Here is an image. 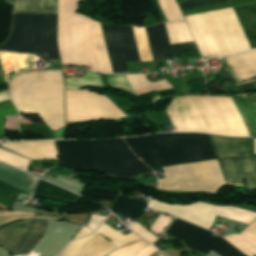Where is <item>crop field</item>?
<instances>
[{"mask_svg": "<svg viewBox=\"0 0 256 256\" xmlns=\"http://www.w3.org/2000/svg\"><path fill=\"white\" fill-rule=\"evenodd\" d=\"M177 1V3H179V2H181V1H183V0H176Z\"/></svg>", "mask_w": 256, "mask_h": 256, "instance_id": "crop-field-42", "label": "crop field"}, {"mask_svg": "<svg viewBox=\"0 0 256 256\" xmlns=\"http://www.w3.org/2000/svg\"><path fill=\"white\" fill-rule=\"evenodd\" d=\"M174 57H178L188 49H197L194 42L170 45Z\"/></svg>", "mask_w": 256, "mask_h": 256, "instance_id": "crop-field-34", "label": "crop field"}, {"mask_svg": "<svg viewBox=\"0 0 256 256\" xmlns=\"http://www.w3.org/2000/svg\"><path fill=\"white\" fill-rule=\"evenodd\" d=\"M97 232L102 234L103 236L109 238L110 240L120 244V245L139 240V238H137L132 233L124 236L118 230L115 231V230H113L112 228H110L109 226H107L106 224L103 223L102 226L94 234H92L88 237L82 238L80 240L71 242L66 247V249L61 253L60 256H78V254H79L80 250L83 248V246L90 239H92L94 236H96Z\"/></svg>", "mask_w": 256, "mask_h": 256, "instance_id": "crop-field-16", "label": "crop field"}, {"mask_svg": "<svg viewBox=\"0 0 256 256\" xmlns=\"http://www.w3.org/2000/svg\"><path fill=\"white\" fill-rule=\"evenodd\" d=\"M92 142L98 170L119 177H130L148 169L131 153L122 139Z\"/></svg>", "mask_w": 256, "mask_h": 256, "instance_id": "crop-field-12", "label": "crop field"}, {"mask_svg": "<svg viewBox=\"0 0 256 256\" xmlns=\"http://www.w3.org/2000/svg\"><path fill=\"white\" fill-rule=\"evenodd\" d=\"M232 99L240 115L242 116L251 136H256V125L254 123L256 122V110L250 98L242 99L241 96H238V97H232Z\"/></svg>", "mask_w": 256, "mask_h": 256, "instance_id": "crop-field-23", "label": "crop field"}, {"mask_svg": "<svg viewBox=\"0 0 256 256\" xmlns=\"http://www.w3.org/2000/svg\"><path fill=\"white\" fill-rule=\"evenodd\" d=\"M147 206L148 204L144 199L118 194L109 210L135 221Z\"/></svg>", "mask_w": 256, "mask_h": 256, "instance_id": "crop-field-19", "label": "crop field"}, {"mask_svg": "<svg viewBox=\"0 0 256 256\" xmlns=\"http://www.w3.org/2000/svg\"><path fill=\"white\" fill-rule=\"evenodd\" d=\"M167 21H184L174 0H158Z\"/></svg>", "mask_w": 256, "mask_h": 256, "instance_id": "crop-field-29", "label": "crop field"}, {"mask_svg": "<svg viewBox=\"0 0 256 256\" xmlns=\"http://www.w3.org/2000/svg\"><path fill=\"white\" fill-rule=\"evenodd\" d=\"M117 247L114 242L97 235L84 246L79 256H105Z\"/></svg>", "mask_w": 256, "mask_h": 256, "instance_id": "crop-field-24", "label": "crop field"}, {"mask_svg": "<svg viewBox=\"0 0 256 256\" xmlns=\"http://www.w3.org/2000/svg\"><path fill=\"white\" fill-rule=\"evenodd\" d=\"M130 229H132L136 234L140 235L141 237L145 238L147 241L153 243L157 237L149 233L147 230H145L143 227H141L136 222L128 226Z\"/></svg>", "mask_w": 256, "mask_h": 256, "instance_id": "crop-field-33", "label": "crop field"}, {"mask_svg": "<svg viewBox=\"0 0 256 256\" xmlns=\"http://www.w3.org/2000/svg\"><path fill=\"white\" fill-rule=\"evenodd\" d=\"M251 48H256V5L234 9Z\"/></svg>", "mask_w": 256, "mask_h": 256, "instance_id": "crop-field-21", "label": "crop field"}, {"mask_svg": "<svg viewBox=\"0 0 256 256\" xmlns=\"http://www.w3.org/2000/svg\"><path fill=\"white\" fill-rule=\"evenodd\" d=\"M153 60L171 58V51L163 23L155 26L145 27Z\"/></svg>", "mask_w": 256, "mask_h": 256, "instance_id": "crop-field-18", "label": "crop field"}, {"mask_svg": "<svg viewBox=\"0 0 256 256\" xmlns=\"http://www.w3.org/2000/svg\"><path fill=\"white\" fill-rule=\"evenodd\" d=\"M146 245L148 244L142 241L136 242L131 245L120 247L110 253L108 256H135L136 253L144 248Z\"/></svg>", "mask_w": 256, "mask_h": 256, "instance_id": "crop-field-31", "label": "crop field"}, {"mask_svg": "<svg viewBox=\"0 0 256 256\" xmlns=\"http://www.w3.org/2000/svg\"><path fill=\"white\" fill-rule=\"evenodd\" d=\"M164 24L170 44L193 41L185 23L172 22Z\"/></svg>", "mask_w": 256, "mask_h": 256, "instance_id": "crop-field-27", "label": "crop field"}, {"mask_svg": "<svg viewBox=\"0 0 256 256\" xmlns=\"http://www.w3.org/2000/svg\"><path fill=\"white\" fill-rule=\"evenodd\" d=\"M13 11L57 12V0H15Z\"/></svg>", "mask_w": 256, "mask_h": 256, "instance_id": "crop-field-25", "label": "crop field"}, {"mask_svg": "<svg viewBox=\"0 0 256 256\" xmlns=\"http://www.w3.org/2000/svg\"><path fill=\"white\" fill-rule=\"evenodd\" d=\"M0 160L4 161L6 163H9L11 165H14L18 168L25 169V170L27 169L28 164L30 162L27 159H24L22 157L11 154V153L6 152V151L1 150V149H0Z\"/></svg>", "mask_w": 256, "mask_h": 256, "instance_id": "crop-field-30", "label": "crop field"}, {"mask_svg": "<svg viewBox=\"0 0 256 256\" xmlns=\"http://www.w3.org/2000/svg\"><path fill=\"white\" fill-rule=\"evenodd\" d=\"M28 218H42V217H37V216H17V217H6V218H0V226L8 223L13 220H21V219H28Z\"/></svg>", "mask_w": 256, "mask_h": 256, "instance_id": "crop-field-36", "label": "crop field"}, {"mask_svg": "<svg viewBox=\"0 0 256 256\" xmlns=\"http://www.w3.org/2000/svg\"><path fill=\"white\" fill-rule=\"evenodd\" d=\"M2 141H0V143H1Z\"/></svg>", "mask_w": 256, "mask_h": 256, "instance_id": "crop-field-43", "label": "crop field"}, {"mask_svg": "<svg viewBox=\"0 0 256 256\" xmlns=\"http://www.w3.org/2000/svg\"><path fill=\"white\" fill-rule=\"evenodd\" d=\"M56 28L57 14L13 12L10 36L0 48L58 59Z\"/></svg>", "mask_w": 256, "mask_h": 256, "instance_id": "crop-field-6", "label": "crop field"}, {"mask_svg": "<svg viewBox=\"0 0 256 256\" xmlns=\"http://www.w3.org/2000/svg\"><path fill=\"white\" fill-rule=\"evenodd\" d=\"M176 132L196 131L249 137L231 97H175L166 110Z\"/></svg>", "mask_w": 256, "mask_h": 256, "instance_id": "crop-field-3", "label": "crop field"}, {"mask_svg": "<svg viewBox=\"0 0 256 256\" xmlns=\"http://www.w3.org/2000/svg\"><path fill=\"white\" fill-rule=\"evenodd\" d=\"M153 210L175 215L176 217L204 227L211 228L216 215L249 224L256 218L255 213L233 207H216L209 204L196 202L186 207L164 205L153 199L148 201Z\"/></svg>", "mask_w": 256, "mask_h": 256, "instance_id": "crop-field-11", "label": "crop field"}, {"mask_svg": "<svg viewBox=\"0 0 256 256\" xmlns=\"http://www.w3.org/2000/svg\"><path fill=\"white\" fill-rule=\"evenodd\" d=\"M131 27H132L135 42L137 45V49L139 52L140 60L141 61H153L151 52H150V48H149V44H148V40H147V36H146V32H145V28L144 27L137 28L134 26H131Z\"/></svg>", "mask_w": 256, "mask_h": 256, "instance_id": "crop-field-28", "label": "crop field"}, {"mask_svg": "<svg viewBox=\"0 0 256 256\" xmlns=\"http://www.w3.org/2000/svg\"><path fill=\"white\" fill-rule=\"evenodd\" d=\"M126 77L136 97L153 90L171 88L165 79L155 83H150L144 75H126Z\"/></svg>", "mask_w": 256, "mask_h": 256, "instance_id": "crop-field-22", "label": "crop field"}, {"mask_svg": "<svg viewBox=\"0 0 256 256\" xmlns=\"http://www.w3.org/2000/svg\"><path fill=\"white\" fill-rule=\"evenodd\" d=\"M105 218L106 217L92 215L87 226L93 230H96Z\"/></svg>", "mask_w": 256, "mask_h": 256, "instance_id": "crop-field-35", "label": "crop field"}, {"mask_svg": "<svg viewBox=\"0 0 256 256\" xmlns=\"http://www.w3.org/2000/svg\"><path fill=\"white\" fill-rule=\"evenodd\" d=\"M93 233V231H91L90 229L86 228L83 226V228L80 230V232L74 237L73 240L80 238L82 236H85L87 234Z\"/></svg>", "mask_w": 256, "mask_h": 256, "instance_id": "crop-field-39", "label": "crop field"}, {"mask_svg": "<svg viewBox=\"0 0 256 256\" xmlns=\"http://www.w3.org/2000/svg\"><path fill=\"white\" fill-rule=\"evenodd\" d=\"M58 152V166L66 169H95L94 153L90 141H54ZM53 141L11 142L6 141L0 146L5 147L31 160L57 159Z\"/></svg>", "mask_w": 256, "mask_h": 256, "instance_id": "crop-field-8", "label": "crop field"}, {"mask_svg": "<svg viewBox=\"0 0 256 256\" xmlns=\"http://www.w3.org/2000/svg\"><path fill=\"white\" fill-rule=\"evenodd\" d=\"M4 1H6L10 5H12V3H13V0H4Z\"/></svg>", "mask_w": 256, "mask_h": 256, "instance_id": "crop-field-41", "label": "crop field"}, {"mask_svg": "<svg viewBox=\"0 0 256 256\" xmlns=\"http://www.w3.org/2000/svg\"><path fill=\"white\" fill-rule=\"evenodd\" d=\"M66 123L109 120L126 116L103 95L88 91H65Z\"/></svg>", "mask_w": 256, "mask_h": 256, "instance_id": "crop-field-10", "label": "crop field"}, {"mask_svg": "<svg viewBox=\"0 0 256 256\" xmlns=\"http://www.w3.org/2000/svg\"><path fill=\"white\" fill-rule=\"evenodd\" d=\"M33 193L53 197V198H58V199H63L67 201H73L75 202L78 198V196L63 190L61 188H58L54 185H51L49 183H46L42 180H39L37 185L34 188Z\"/></svg>", "mask_w": 256, "mask_h": 256, "instance_id": "crop-field-26", "label": "crop field"}, {"mask_svg": "<svg viewBox=\"0 0 256 256\" xmlns=\"http://www.w3.org/2000/svg\"><path fill=\"white\" fill-rule=\"evenodd\" d=\"M171 217L159 215L151 227V231L159 236L162 230L169 224Z\"/></svg>", "mask_w": 256, "mask_h": 256, "instance_id": "crop-field-32", "label": "crop field"}, {"mask_svg": "<svg viewBox=\"0 0 256 256\" xmlns=\"http://www.w3.org/2000/svg\"><path fill=\"white\" fill-rule=\"evenodd\" d=\"M184 18L204 58L251 49L232 8Z\"/></svg>", "mask_w": 256, "mask_h": 256, "instance_id": "crop-field-5", "label": "crop field"}, {"mask_svg": "<svg viewBox=\"0 0 256 256\" xmlns=\"http://www.w3.org/2000/svg\"><path fill=\"white\" fill-rule=\"evenodd\" d=\"M100 25L113 73L128 72L126 62H140L131 27Z\"/></svg>", "mask_w": 256, "mask_h": 256, "instance_id": "crop-field-13", "label": "crop field"}, {"mask_svg": "<svg viewBox=\"0 0 256 256\" xmlns=\"http://www.w3.org/2000/svg\"><path fill=\"white\" fill-rule=\"evenodd\" d=\"M13 215H36L33 213L15 212V211H0V216H13Z\"/></svg>", "mask_w": 256, "mask_h": 256, "instance_id": "crop-field-38", "label": "crop field"}, {"mask_svg": "<svg viewBox=\"0 0 256 256\" xmlns=\"http://www.w3.org/2000/svg\"><path fill=\"white\" fill-rule=\"evenodd\" d=\"M210 136V135H209ZM217 161L227 185L245 188H256V155H254L252 139H241L210 136Z\"/></svg>", "mask_w": 256, "mask_h": 256, "instance_id": "crop-field-9", "label": "crop field"}, {"mask_svg": "<svg viewBox=\"0 0 256 256\" xmlns=\"http://www.w3.org/2000/svg\"><path fill=\"white\" fill-rule=\"evenodd\" d=\"M242 81L256 77V50L225 58Z\"/></svg>", "mask_w": 256, "mask_h": 256, "instance_id": "crop-field-20", "label": "crop field"}, {"mask_svg": "<svg viewBox=\"0 0 256 256\" xmlns=\"http://www.w3.org/2000/svg\"><path fill=\"white\" fill-rule=\"evenodd\" d=\"M150 168L216 159L208 135L195 133L153 134L124 138ZM165 178L156 189L218 193L225 186L216 160L161 168Z\"/></svg>", "mask_w": 256, "mask_h": 256, "instance_id": "crop-field-1", "label": "crop field"}, {"mask_svg": "<svg viewBox=\"0 0 256 256\" xmlns=\"http://www.w3.org/2000/svg\"><path fill=\"white\" fill-rule=\"evenodd\" d=\"M166 233L204 255L212 250L220 256H256V220L240 235H226L223 238L245 255L225 240L212 237L211 232L180 219H175Z\"/></svg>", "mask_w": 256, "mask_h": 256, "instance_id": "crop-field-7", "label": "crop field"}, {"mask_svg": "<svg viewBox=\"0 0 256 256\" xmlns=\"http://www.w3.org/2000/svg\"><path fill=\"white\" fill-rule=\"evenodd\" d=\"M0 180L31 194L36 178L0 162ZM0 181V205L9 208L16 193L28 194ZM28 194V195H30Z\"/></svg>", "mask_w": 256, "mask_h": 256, "instance_id": "crop-field-15", "label": "crop field"}, {"mask_svg": "<svg viewBox=\"0 0 256 256\" xmlns=\"http://www.w3.org/2000/svg\"><path fill=\"white\" fill-rule=\"evenodd\" d=\"M18 113H36L54 132L64 126L63 80L58 71L22 73L10 80Z\"/></svg>", "mask_w": 256, "mask_h": 256, "instance_id": "crop-field-4", "label": "crop field"}, {"mask_svg": "<svg viewBox=\"0 0 256 256\" xmlns=\"http://www.w3.org/2000/svg\"><path fill=\"white\" fill-rule=\"evenodd\" d=\"M225 1H230V0H187V1L179 4L178 6H179L180 10H183V9L199 7V6H204V5H209V4L219 3V2H225ZM251 3H256V0H235V1H230V2H225V3H220V4H214V5H209V6H204V7L194 8V9L183 10L181 12H182L183 16H186V15L203 13V12L219 10V9H224V8H230V7L251 4Z\"/></svg>", "mask_w": 256, "mask_h": 256, "instance_id": "crop-field-17", "label": "crop field"}, {"mask_svg": "<svg viewBox=\"0 0 256 256\" xmlns=\"http://www.w3.org/2000/svg\"><path fill=\"white\" fill-rule=\"evenodd\" d=\"M46 222L40 220H31L29 223L20 221L0 229V246L11 252L28 223L11 252L12 254H27L43 232Z\"/></svg>", "mask_w": 256, "mask_h": 256, "instance_id": "crop-field-14", "label": "crop field"}, {"mask_svg": "<svg viewBox=\"0 0 256 256\" xmlns=\"http://www.w3.org/2000/svg\"><path fill=\"white\" fill-rule=\"evenodd\" d=\"M79 0H58V45L62 64L112 73L99 23L75 13Z\"/></svg>", "mask_w": 256, "mask_h": 256, "instance_id": "crop-field-2", "label": "crop field"}, {"mask_svg": "<svg viewBox=\"0 0 256 256\" xmlns=\"http://www.w3.org/2000/svg\"><path fill=\"white\" fill-rule=\"evenodd\" d=\"M253 142H254V150H255V153H256V139H253Z\"/></svg>", "mask_w": 256, "mask_h": 256, "instance_id": "crop-field-40", "label": "crop field"}, {"mask_svg": "<svg viewBox=\"0 0 256 256\" xmlns=\"http://www.w3.org/2000/svg\"><path fill=\"white\" fill-rule=\"evenodd\" d=\"M156 251L157 250H155L153 247L148 245L144 249H142L140 252H138L136 256H150Z\"/></svg>", "mask_w": 256, "mask_h": 256, "instance_id": "crop-field-37", "label": "crop field"}]
</instances>
